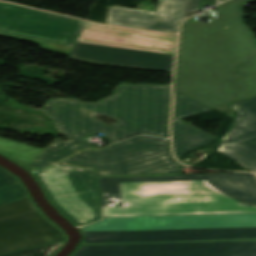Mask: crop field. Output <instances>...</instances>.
Here are the masks:
<instances>
[{"label":"crop field","instance_id":"crop-field-8","mask_svg":"<svg viewBox=\"0 0 256 256\" xmlns=\"http://www.w3.org/2000/svg\"><path fill=\"white\" fill-rule=\"evenodd\" d=\"M28 199L0 206V254L64 240Z\"/></svg>","mask_w":256,"mask_h":256},{"label":"crop field","instance_id":"crop-field-19","mask_svg":"<svg viewBox=\"0 0 256 256\" xmlns=\"http://www.w3.org/2000/svg\"><path fill=\"white\" fill-rule=\"evenodd\" d=\"M175 95L176 101L173 121L212 110L194 100L183 96L177 91H175Z\"/></svg>","mask_w":256,"mask_h":256},{"label":"crop field","instance_id":"crop-field-14","mask_svg":"<svg viewBox=\"0 0 256 256\" xmlns=\"http://www.w3.org/2000/svg\"><path fill=\"white\" fill-rule=\"evenodd\" d=\"M237 117L217 151L256 172V97L232 105Z\"/></svg>","mask_w":256,"mask_h":256},{"label":"crop field","instance_id":"crop-field-5","mask_svg":"<svg viewBox=\"0 0 256 256\" xmlns=\"http://www.w3.org/2000/svg\"><path fill=\"white\" fill-rule=\"evenodd\" d=\"M42 112L54 120L59 133L70 141L55 139L26 166L27 168L35 165L44 168L78 151L92 148L93 146L82 137L99 131L113 142L138 134L119 123L108 126L94 117L103 115L73 100H48Z\"/></svg>","mask_w":256,"mask_h":256},{"label":"crop field","instance_id":"crop-field-9","mask_svg":"<svg viewBox=\"0 0 256 256\" xmlns=\"http://www.w3.org/2000/svg\"><path fill=\"white\" fill-rule=\"evenodd\" d=\"M72 256H256V241L80 246Z\"/></svg>","mask_w":256,"mask_h":256},{"label":"crop field","instance_id":"crop-field-13","mask_svg":"<svg viewBox=\"0 0 256 256\" xmlns=\"http://www.w3.org/2000/svg\"><path fill=\"white\" fill-rule=\"evenodd\" d=\"M177 36L166 33L101 26L87 22L79 42L174 55Z\"/></svg>","mask_w":256,"mask_h":256},{"label":"crop field","instance_id":"crop-field-22","mask_svg":"<svg viewBox=\"0 0 256 256\" xmlns=\"http://www.w3.org/2000/svg\"><path fill=\"white\" fill-rule=\"evenodd\" d=\"M202 5H199V0H185L184 16H189L192 11L200 9Z\"/></svg>","mask_w":256,"mask_h":256},{"label":"crop field","instance_id":"crop-field-16","mask_svg":"<svg viewBox=\"0 0 256 256\" xmlns=\"http://www.w3.org/2000/svg\"><path fill=\"white\" fill-rule=\"evenodd\" d=\"M172 129L176 156L184 155L215 138L182 120L172 122Z\"/></svg>","mask_w":256,"mask_h":256},{"label":"crop field","instance_id":"crop-field-18","mask_svg":"<svg viewBox=\"0 0 256 256\" xmlns=\"http://www.w3.org/2000/svg\"><path fill=\"white\" fill-rule=\"evenodd\" d=\"M237 68L240 72V100L256 96V57Z\"/></svg>","mask_w":256,"mask_h":256},{"label":"crop field","instance_id":"crop-field-21","mask_svg":"<svg viewBox=\"0 0 256 256\" xmlns=\"http://www.w3.org/2000/svg\"><path fill=\"white\" fill-rule=\"evenodd\" d=\"M27 196L19 183L0 189V205Z\"/></svg>","mask_w":256,"mask_h":256},{"label":"crop field","instance_id":"crop-field-23","mask_svg":"<svg viewBox=\"0 0 256 256\" xmlns=\"http://www.w3.org/2000/svg\"><path fill=\"white\" fill-rule=\"evenodd\" d=\"M14 183H17L16 179L0 169V188Z\"/></svg>","mask_w":256,"mask_h":256},{"label":"crop field","instance_id":"crop-field-24","mask_svg":"<svg viewBox=\"0 0 256 256\" xmlns=\"http://www.w3.org/2000/svg\"><path fill=\"white\" fill-rule=\"evenodd\" d=\"M217 0H200V4L204 3L203 5H210V4H216Z\"/></svg>","mask_w":256,"mask_h":256},{"label":"crop field","instance_id":"crop-field-4","mask_svg":"<svg viewBox=\"0 0 256 256\" xmlns=\"http://www.w3.org/2000/svg\"><path fill=\"white\" fill-rule=\"evenodd\" d=\"M169 88L163 85L121 84L111 97L97 103L77 102L143 134L168 137Z\"/></svg>","mask_w":256,"mask_h":256},{"label":"crop field","instance_id":"crop-field-10","mask_svg":"<svg viewBox=\"0 0 256 256\" xmlns=\"http://www.w3.org/2000/svg\"><path fill=\"white\" fill-rule=\"evenodd\" d=\"M218 227H256V213L103 218V221L84 227L82 230L103 231Z\"/></svg>","mask_w":256,"mask_h":256},{"label":"crop field","instance_id":"crop-field-25","mask_svg":"<svg viewBox=\"0 0 256 256\" xmlns=\"http://www.w3.org/2000/svg\"><path fill=\"white\" fill-rule=\"evenodd\" d=\"M220 1H222V0H220Z\"/></svg>","mask_w":256,"mask_h":256},{"label":"crop field","instance_id":"crop-field-7","mask_svg":"<svg viewBox=\"0 0 256 256\" xmlns=\"http://www.w3.org/2000/svg\"><path fill=\"white\" fill-rule=\"evenodd\" d=\"M34 175L53 205L76 225L84 226L101 219L95 176L61 163Z\"/></svg>","mask_w":256,"mask_h":256},{"label":"crop field","instance_id":"crop-field-1","mask_svg":"<svg viewBox=\"0 0 256 256\" xmlns=\"http://www.w3.org/2000/svg\"><path fill=\"white\" fill-rule=\"evenodd\" d=\"M102 217L254 213L250 173L98 178Z\"/></svg>","mask_w":256,"mask_h":256},{"label":"crop field","instance_id":"crop-field-11","mask_svg":"<svg viewBox=\"0 0 256 256\" xmlns=\"http://www.w3.org/2000/svg\"><path fill=\"white\" fill-rule=\"evenodd\" d=\"M256 239V228L84 232L82 243H137Z\"/></svg>","mask_w":256,"mask_h":256},{"label":"crop field","instance_id":"crop-field-20","mask_svg":"<svg viewBox=\"0 0 256 256\" xmlns=\"http://www.w3.org/2000/svg\"><path fill=\"white\" fill-rule=\"evenodd\" d=\"M63 243L64 242L56 243L52 245L13 252V253L4 254L0 256H52Z\"/></svg>","mask_w":256,"mask_h":256},{"label":"crop field","instance_id":"crop-field-12","mask_svg":"<svg viewBox=\"0 0 256 256\" xmlns=\"http://www.w3.org/2000/svg\"><path fill=\"white\" fill-rule=\"evenodd\" d=\"M69 59L97 65L172 73L174 56L76 42Z\"/></svg>","mask_w":256,"mask_h":256},{"label":"crop field","instance_id":"crop-field-6","mask_svg":"<svg viewBox=\"0 0 256 256\" xmlns=\"http://www.w3.org/2000/svg\"><path fill=\"white\" fill-rule=\"evenodd\" d=\"M84 21L0 2V36L69 55Z\"/></svg>","mask_w":256,"mask_h":256},{"label":"crop field","instance_id":"crop-field-2","mask_svg":"<svg viewBox=\"0 0 256 256\" xmlns=\"http://www.w3.org/2000/svg\"><path fill=\"white\" fill-rule=\"evenodd\" d=\"M216 7L210 23H182L174 89L214 109L238 98L235 66L256 55L254 30L245 26L241 3Z\"/></svg>","mask_w":256,"mask_h":256},{"label":"crop field","instance_id":"crop-field-15","mask_svg":"<svg viewBox=\"0 0 256 256\" xmlns=\"http://www.w3.org/2000/svg\"><path fill=\"white\" fill-rule=\"evenodd\" d=\"M181 7L177 0H158L155 12L110 7L106 24L176 33Z\"/></svg>","mask_w":256,"mask_h":256},{"label":"crop field","instance_id":"crop-field-17","mask_svg":"<svg viewBox=\"0 0 256 256\" xmlns=\"http://www.w3.org/2000/svg\"><path fill=\"white\" fill-rule=\"evenodd\" d=\"M42 150L32 148L23 143L0 138V153L16 160L24 166L30 163Z\"/></svg>","mask_w":256,"mask_h":256},{"label":"crop field","instance_id":"crop-field-3","mask_svg":"<svg viewBox=\"0 0 256 256\" xmlns=\"http://www.w3.org/2000/svg\"><path fill=\"white\" fill-rule=\"evenodd\" d=\"M61 163L95 176L180 174L169 140L147 136L87 150Z\"/></svg>","mask_w":256,"mask_h":256}]
</instances>
